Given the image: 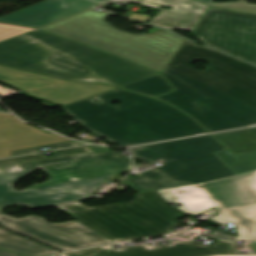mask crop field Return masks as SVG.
Instances as JSON below:
<instances>
[{"label": "crop field", "instance_id": "obj_16", "mask_svg": "<svg viewBox=\"0 0 256 256\" xmlns=\"http://www.w3.org/2000/svg\"><path fill=\"white\" fill-rule=\"evenodd\" d=\"M218 216L210 219L217 224L231 222L239 237L236 240L256 239V205L218 212Z\"/></svg>", "mask_w": 256, "mask_h": 256}, {"label": "crop field", "instance_id": "obj_30", "mask_svg": "<svg viewBox=\"0 0 256 256\" xmlns=\"http://www.w3.org/2000/svg\"><path fill=\"white\" fill-rule=\"evenodd\" d=\"M137 168L143 167L142 164L136 165Z\"/></svg>", "mask_w": 256, "mask_h": 256}, {"label": "crop field", "instance_id": "obj_7", "mask_svg": "<svg viewBox=\"0 0 256 256\" xmlns=\"http://www.w3.org/2000/svg\"><path fill=\"white\" fill-rule=\"evenodd\" d=\"M162 74L176 90L156 99L190 114L209 132L256 124V110L168 66Z\"/></svg>", "mask_w": 256, "mask_h": 256}, {"label": "crop field", "instance_id": "obj_18", "mask_svg": "<svg viewBox=\"0 0 256 256\" xmlns=\"http://www.w3.org/2000/svg\"><path fill=\"white\" fill-rule=\"evenodd\" d=\"M212 135L234 154L256 151V127Z\"/></svg>", "mask_w": 256, "mask_h": 256}, {"label": "crop field", "instance_id": "obj_27", "mask_svg": "<svg viewBox=\"0 0 256 256\" xmlns=\"http://www.w3.org/2000/svg\"><path fill=\"white\" fill-rule=\"evenodd\" d=\"M213 256H256V255H213Z\"/></svg>", "mask_w": 256, "mask_h": 256}, {"label": "crop field", "instance_id": "obj_3", "mask_svg": "<svg viewBox=\"0 0 256 256\" xmlns=\"http://www.w3.org/2000/svg\"><path fill=\"white\" fill-rule=\"evenodd\" d=\"M39 167L51 176L48 181L22 191L13 189L17 181ZM131 169L130 158L118 156L116 152L83 153L3 166L0 167V210L14 203L36 207L84 199L113 175Z\"/></svg>", "mask_w": 256, "mask_h": 256}, {"label": "crop field", "instance_id": "obj_6", "mask_svg": "<svg viewBox=\"0 0 256 256\" xmlns=\"http://www.w3.org/2000/svg\"><path fill=\"white\" fill-rule=\"evenodd\" d=\"M55 207L115 242L171 233L180 224L177 219L187 215L157 191L138 193L132 203L88 208L74 202Z\"/></svg>", "mask_w": 256, "mask_h": 256}, {"label": "crop field", "instance_id": "obj_8", "mask_svg": "<svg viewBox=\"0 0 256 256\" xmlns=\"http://www.w3.org/2000/svg\"><path fill=\"white\" fill-rule=\"evenodd\" d=\"M209 67L200 72L191 64ZM168 66L256 109V67L185 40Z\"/></svg>", "mask_w": 256, "mask_h": 256}, {"label": "crop field", "instance_id": "obj_31", "mask_svg": "<svg viewBox=\"0 0 256 256\" xmlns=\"http://www.w3.org/2000/svg\"><path fill=\"white\" fill-rule=\"evenodd\" d=\"M0 111H3V112H5V111H4L3 109H1V108H0Z\"/></svg>", "mask_w": 256, "mask_h": 256}, {"label": "crop field", "instance_id": "obj_23", "mask_svg": "<svg viewBox=\"0 0 256 256\" xmlns=\"http://www.w3.org/2000/svg\"><path fill=\"white\" fill-rule=\"evenodd\" d=\"M31 30L33 29L0 24V41L31 31Z\"/></svg>", "mask_w": 256, "mask_h": 256}, {"label": "crop field", "instance_id": "obj_15", "mask_svg": "<svg viewBox=\"0 0 256 256\" xmlns=\"http://www.w3.org/2000/svg\"><path fill=\"white\" fill-rule=\"evenodd\" d=\"M158 192L168 203L177 202L183 205L177 208L191 216L213 207L207 192L201 184L159 190Z\"/></svg>", "mask_w": 256, "mask_h": 256}, {"label": "crop field", "instance_id": "obj_20", "mask_svg": "<svg viewBox=\"0 0 256 256\" xmlns=\"http://www.w3.org/2000/svg\"><path fill=\"white\" fill-rule=\"evenodd\" d=\"M121 88L137 91L151 97L173 90L160 75Z\"/></svg>", "mask_w": 256, "mask_h": 256}, {"label": "crop field", "instance_id": "obj_26", "mask_svg": "<svg viewBox=\"0 0 256 256\" xmlns=\"http://www.w3.org/2000/svg\"><path fill=\"white\" fill-rule=\"evenodd\" d=\"M0 256H22V255H18V254H14V253H10V252L0 250Z\"/></svg>", "mask_w": 256, "mask_h": 256}, {"label": "crop field", "instance_id": "obj_13", "mask_svg": "<svg viewBox=\"0 0 256 256\" xmlns=\"http://www.w3.org/2000/svg\"><path fill=\"white\" fill-rule=\"evenodd\" d=\"M203 185L217 211L256 204V171Z\"/></svg>", "mask_w": 256, "mask_h": 256}, {"label": "crop field", "instance_id": "obj_24", "mask_svg": "<svg viewBox=\"0 0 256 256\" xmlns=\"http://www.w3.org/2000/svg\"><path fill=\"white\" fill-rule=\"evenodd\" d=\"M73 146H79V144H76L74 142H69V143H63V144H56V145H49V146L13 151L12 153H13V155L27 154V153L39 152V151H41L40 148H44V147H48L50 150H54V149L73 147Z\"/></svg>", "mask_w": 256, "mask_h": 256}, {"label": "crop field", "instance_id": "obj_9", "mask_svg": "<svg viewBox=\"0 0 256 256\" xmlns=\"http://www.w3.org/2000/svg\"><path fill=\"white\" fill-rule=\"evenodd\" d=\"M204 44L256 65V16L208 8L191 32Z\"/></svg>", "mask_w": 256, "mask_h": 256}, {"label": "crop field", "instance_id": "obj_11", "mask_svg": "<svg viewBox=\"0 0 256 256\" xmlns=\"http://www.w3.org/2000/svg\"><path fill=\"white\" fill-rule=\"evenodd\" d=\"M117 245V244H115ZM114 245L68 253L58 256H205L214 253H238L232 242L214 241L210 245L195 241L184 243L174 240L167 246H149L142 244L120 250L112 249Z\"/></svg>", "mask_w": 256, "mask_h": 256}, {"label": "crop field", "instance_id": "obj_12", "mask_svg": "<svg viewBox=\"0 0 256 256\" xmlns=\"http://www.w3.org/2000/svg\"><path fill=\"white\" fill-rule=\"evenodd\" d=\"M99 4L89 0H46L0 18V22L39 28Z\"/></svg>", "mask_w": 256, "mask_h": 256}, {"label": "crop field", "instance_id": "obj_5", "mask_svg": "<svg viewBox=\"0 0 256 256\" xmlns=\"http://www.w3.org/2000/svg\"><path fill=\"white\" fill-rule=\"evenodd\" d=\"M109 15L106 11L90 10L41 30L125 57L160 73L185 40L163 29L150 34H129L106 22Z\"/></svg>", "mask_w": 256, "mask_h": 256}, {"label": "crop field", "instance_id": "obj_10", "mask_svg": "<svg viewBox=\"0 0 256 256\" xmlns=\"http://www.w3.org/2000/svg\"><path fill=\"white\" fill-rule=\"evenodd\" d=\"M0 223V226L5 229L61 251L113 243L77 221L50 224L35 215L17 219L0 214Z\"/></svg>", "mask_w": 256, "mask_h": 256}, {"label": "crop field", "instance_id": "obj_22", "mask_svg": "<svg viewBox=\"0 0 256 256\" xmlns=\"http://www.w3.org/2000/svg\"><path fill=\"white\" fill-rule=\"evenodd\" d=\"M211 6L227 9V10L256 13V5L247 4L243 0H239V3H236V2H227V3H220V4L212 3Z\"/></svg>", "mask_w": 256, "mask_h": 256}, {"label": "crop field", "instance_id": "obj_2", "mask_svg": "<svg viewBox=\"0 0 256 256\" xmlns=\"http://www.w3.org/2000/svg\"><path fill=\"white\" fill-rule=\"evenodd\" d=\"M113 101L120 106L113 107ZM63 108L83 127L122 146L206 133L179 110L119 89Z\"/></svg>", "mask_w": 256, "mask_h": 256}, {"label": "crop field", "instance_id": "obj_25", "mask_svg": "<svg viewBox=\"0 0 256 256\" xmlns=\"http://www.w3.org/2000/svg\"><path fill=\"white\" fill-rule=\"evenodd\" d=\"M212 234L218 238L221 239H226V240H231V238L228 236L227 233L221 231V230H217V229H212L211 230Z\"/></svg>", "mask_w": 256, "mask_h": 256}, {"label": "crop field", "instance_id": "obj_17", "mask_svg": "<svg viewBox=\"0 0 256 256\" xmlns=\"http://www.w3.org/2000/svg\"><path fill=\"white\" fill-rule=\"evenodd\" d=\"M0 248L26 256H41L50 253H60L54 249L28 240L20 235L0 228Z\"/></svg>", "mask_w": 256, "mask_h": 256}, {"label": "crop field", "instance_id": "obj_4", "mask_svg": "<svg viewBox=\"0 0 256 256\" xmlns=\"http://www.w3.org/2000/svg\"><path fill=\"white\" fill-rule=\"evenodd\" d=\"M219 150L225 149L210 135L134 147V157L164 164L124 181L136 192H145L235 175L212 154Z\"/></svg>", "mask_w": 256, "mask_h": 256}, {"label": "crop field", "instance_id": "obj_29", "mask_svg": "<svg viewBox=\"0 0 256 256\" xmlns=\"http://www.w3.org/2000/svg\"><path fill=\"white\" fill-rule=\"evenodd\" d=\"M92 1L97 2L99 4H103V3H105L108 0H92Z\"/></svg>", "mask_w": 256, "mask_h": 256}, {"label": "crop field", "instance_id": "obj_28", "mask_svg": "<svg viewBox=\"0 0 256 256\" xmlns=\"http://www.w3.org/2000/svg\"><path fill=\"white\" fill-rule=\"evenodd\" d=\"M197 1H200V2H203V3H206L208 5L211 4V0H197Z\"/></svg>", "mask_w": 256, "mask_h": 256}, {"label": "crop field", "instance_id": "obj_1", "mask_svg": "<svg viewBox=\"0 0 256 256\" xmlns=\"http://www.w3.org/2000/svg\"><path fill=\"white\" fill-rule=\"evenodd\" d=\"M0 65L118 87L159 74L40 30L0 42Z\"/></svg>", "mask_w": 256, "mask_h": 256}, {"label": "crop field", "instance_id": "obj_14", "mask_svg": "<svg viewBox=\"0 0 256 256\" xmlns=\"http://www.w3.org/2000/svg\"><path fill=\"white\" fill-rule=\"evenodd\" d=\"M144 6L159 8L161 5H170L171 10L162 9L148 24L160 26L170 31L182 29L192 31L204 14L207 6L191 0H130ZM209 8V7H208Z\"/></svg>", "mask_w": 256, "mask_h": 256}, {"label": "crop field", "instance_id": "obj_21", "mask_svg": "<svg viewBox=\"0 0 256 256\" xmlns=\"http://www.w3.org/2000/svg\"><path fill=\"white\" fill-rule=\"evenodd\" d=\"M83 152L93 153L89 149H87L85 146H82V147L70 148L65 150L53 151L51 157H47V158H53V157H59V156H65V155H71V154H77V153H83ZM40 159H46V158L41 153L12 157V158H5V159H0V166L20 163V162L33 161V160H40Z\"/></svg>", "mask_w": 256, "mask_h": 256}, {"label": "crop field", "instance_id": "obj_19", "mask_svg": "<svg viewBox=\"0 0 256 256\" xmlns=\"http://www.w3.org/2000/svg\"><path fill=\"white\" fill-rule=\"evenodd\" d=\"M236 174L256 170V153L233 156L228 150L214 152Z\"/></svg>", "mask_w": 256, "mask_h": 256}]
</instances>
